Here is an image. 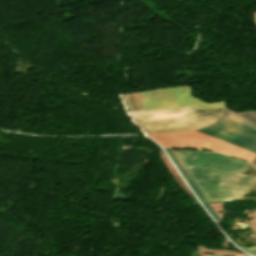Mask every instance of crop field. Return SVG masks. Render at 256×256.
<instances>
[{
    "label": "crop field",
    "mask_w": 256,
    "mask_h": 256,
    "mask_svg": "<svg viewBox=\"0 0 256 256\" xmlns=\"http://www.w3.org/2000/svg\"><path fill=\"white\" fill-rule=\"evenodd\" d=\"M253 20H254V23H255V26H256V12L253 13Z\"/></svg>",
    "instance_id": "3316defc"
},
{
    "label": "crop field",
    "mask_w": 256,
    "mask_h": 256,
    "mask_svg": "<svg viewBox=\"0 0 256 256\" xmlns=\"http://www.w3.org/2000/svg\"><path fill=\"white\" fill-rule=\"evenodd\" d=\"M208 202L239 198L256 179L242 174L248 163L217 153L175 151Z\"/></svg>",
    "instance_id": "8a807250"
},
{
    "label": "crop field",
    "mask_w": 256,
    "mask_h": 256,
    "mask_svg": "<svg viewBox=\"0 0 256 256\" xmlns=\"http://www.w3.org/2000/svg\"><path fill=\"white\" fill-rule=\"evenodd\" d=\"M227 117L256 131V125L242 117L233 113ZM227 117L197 131L256 153V132Z\"/></svg>",
    "instance_id": "412701ff"
},
{
    "label": "crop field",
    "mask_w": 256,
    "mask_h": 256,
    "mask_svg": "<svg viewBox=\"0 0 256 256\" xmlns=\"http://www.w3.org/2000/svg\"><path fill=\"white\" fill-rule=\"evenodd\" d=\"M165 150L167 151V153L169 154V156L171 157V159L173 160V162L175 163V165L177 166V168L180 170V172L182 173V175L184 176V178L186 179V181L188 182V184L191 186V188L193 189V191L195 192V194L197 195V197L200 199V201L202 202V204L206 207V209L212 214V216L215 218L216 221L220 220V218L218 217V215L215 213V211L212 209V207L209 205V203L205 200V198L202 196V194L198 191V189L194 186L191 178H187L183 168L181 167L178 159L176 158V156L174 155V153L171 151L170 148H165Z\"/></svg>",
    "instance_id": "dd49c442"
},
{
    "label": "crop field",
    "mask_w": 256,
    "mask_h": 256,
    "mask_svg": "<svg viewBox=\"0 0 256 256\" xmlns=\"http://www.w3.org/2000/svg\"><path fill=\"white\" fill-rule=\"evenodd\" d=\"M209 256H221V255H209Z\"/></svg>",
    "instance_id": "28ad6ade"
},
{
    "label": "crop field",
    "mask_w": 256,
    "mask_h": 256,
    "mask_svg": "<svg viewBox=\"0 0 256 256\" xmlns=\"http://www.w3.org/2000/svg\"><path fill=\"white\" fill-rule=\"evenodd\" d=\"M217 110L183 107L131 113L129 116L145 133L179 132L204 128L231 113L226 109L219 112ZM211 113L215 114L207 117H197Z\"/></svg>",
    "instance_id": "ac0d7876"
},
{
    "label": "crop field",
    "mask_w": 256,
    "mask_h": 256,
    "mask_svg": "<svg viewBox=\"0 0 256 256\" xmlns=\"http://www.w3.org/2000/svg\"><path fill=\"white\" fill-rule=\"evenodd\" d=\"M239 116H242L256 124V113L255 112H249V113H235ZM252 165L256 168V158L253 160Z\"/></svg>",
    "instance_id": "d8731c3e"
},
{
    "label": "crop field",
    "mask_w": 256,
    "mask_h": 256,
    "mask_svg": "<svg viewBox=\"0 0 256 256\" xmlns=\"http://www.w3.org/2000/svg\"><path fill=\"white\" fill-rule=\"evenodd\" d=\"M166 147H202L213 151L221 152L231 156H237L249 162L256 154L216 140L196 131L180 133L147 134Z\"/></svg>",
    "instance_id": "34b2d1b8"
},
{
    "label": "crop field",
    "mask_w": 256,
    "mask_h": 256,
    "mask_svg": "<svg viewBox=\"0 0 256 256\" xmlns=\"http://www.w3.org/2000/svg\"><path fill=\"white\" fill-rule=\"evenodd\" d=\"M189 89L190 86H180L140 91L139 93L146 110L186 105L198 108L225 107L223 101L217 103L202 102L199 98L190 95Z\"/></svg>",
    "instance_id": "f4fd0767"
},
{
    "label": "crop field",
    "mask_w": 256,
    "mask_h": 256,
    "mask_svg": "<svg viewBox=\"0 0 256 256\" xmlns=\"http://www.w3.org/2000/svg\"><path fill=\"white\" fill-rule=\"evenodd\" d=\"M255 238H256V234H255V236H254Z\"/></svg>",
    "instance_id": "d1516ede"
},
{
    "label": "crop field",
    "mask_w": 256,
    "mask_h": 256,
    "mask_svg": "<svg viewBox=\"0 0 256 256\" xmlns=\"http://www.w3.org/2000/svg\"><path fill=\"white\" fill-rule=\"evenodd\" d=\"M126 95L132 111L145 110L138 92L127 93Z\"/></svg>",
    "instance_id": "e52e79f7"
},
{
    "label": "crop field",
    "mask_w": 256,
    "mask_h": 256,
    "mask_svg": "<svg viewBox=\"0 0 256 256\" xmlns=\"http://www.w3.org/2000/svg\"><path fill=\"white\" fill-rule=\"evenodd\" d=\"M242 249H244L245 251H247L249 253L256 254V246L250 247V248H242Z\"/></svg>",
    "instance_id": "5a996713"
}]
</instances>
